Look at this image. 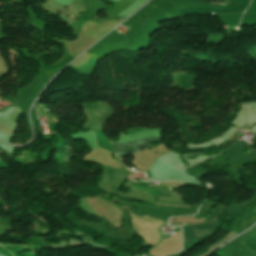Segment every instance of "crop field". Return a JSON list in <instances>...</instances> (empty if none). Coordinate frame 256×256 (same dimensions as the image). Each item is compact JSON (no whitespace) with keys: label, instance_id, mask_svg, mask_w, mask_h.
<instances>
[{"label":"crop field","instance_id":"1","mask_svg":"<svg viewBox=\"0 0 256 256\" xmlns=\"http://www.w3.org/2000/svg\"><path fill=\"white\" fill-rule=\"evenodd\" d=\"M160 141V137H149L135 142L127 143H114L113 147L119 155H127L138 150L152 147V142Z\"/></svg>","mask_w":256,"mask_h":256},{"label":"crop field","instance_id":"2","mask_svg":"<svg viewBox=\"0 0 256 256\" xmlns=\"http://www.w3.org/2000/svg\"><path fill=\"white\" fill-rule=\"evenodd\" d=\"M126 185L138 191L156 196L158 198H163V199H167L169 195L172 193V192H168L169 190H166L160 187L159 188L148 187L149 184H146V183L127 182ZM157 203H170V202H157ZM172 204L185 205L184 203H172ZM157 205H171V204H157ZM179 205H172V206H179ZM179 207H188V206H179Z\"/></svg>","mask_w":256,"mask_h":256},{"label":"crop field","instance_id":"3","mask_svg":"<svg viewBox=\"0 0 256 256\" xmlns=\"http://www.w3.org/2000/svg\"><path fill=\"white\" fill-rule=\"evenodd\" d=\"M96 136H97V144L99 147L108 150L109 152H114L115 150L111 146L109 139H107L104 135V131H95Z\"/></svg>","mask_w":256,"mask_h":256},{"label":"crop field","instance_id":"4","mask_svg":"<svg viewBox=\"0 0 256 256\" xmlns=\"http://www.w3.org/2000/svg\"><path fill=\"white\" fill-rule=\"evenodd\" d=\"M235 132H236V130L227 138V140L230 139L231 136H232Z\"/></svg>","mask_w":256,"mask_h":256}]
</instances>
